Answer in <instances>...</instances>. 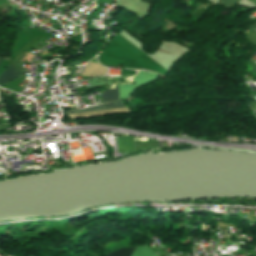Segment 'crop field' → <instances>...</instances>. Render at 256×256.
Listing matches in <instances>:
<instances>
[{
	"instance_id": "crop-field-3",
	"label": "crop field",
	"mask_w": 256,
	"mask_h": 256,
	"mask_svg": "<svg viewBox=\"0 0 256 256\" xmlns=\"http://www.w3.org/2000/svg\"><path fill=\"white\" fill-rule=\"evenodd\" d=\"M122 107H124V106L122 105V103L120 101H118V102H114V103L102 104L99 106L85 108V109H81V110L70 111L69 114L106 110V109H114V108H122Z\"/></svg>"
},
{
	"instance_id": "crop-field-1",
	"label": "crop field",
	"mask_w": 256,
	"mask_h": 256,
	"mask_svg": "<svg viewBox=\"0 0 256 256\" xmlns=\"http://www.w3.org/2000/svg\"><path fill=\"white\" fill-rule=\"evenodd\" d=\"M133 248L123 247L119 250H116L107 256H131ZM132 256H157L155 252H153L150 248H148L146 245L138 246L135 248Z\"/></svg>"
},
{
	"instance_id": "crop-field-8",
	"label": "crop field",
	"mask_w": 256,
	"mask_h": 256,
	"mask_svg": "<svg viewBox=\"0 0 256 256\" xmlns=\"http://www.w3.org/2000/svg\"><path fill=\"white\" fill-rule=\"evenodd\" d=\"M93 62H95V61H93ZM98 63V62H97Z\"/></svg>"
},
{
	"instance_id": "crop-field-4",
	"label": "crop field",
	"mask_w": 256,
	"mask_h": 256,
	"mask_svg": "<svg viewBox=\"0 0 256 256\" xmlns=\"http://www.w3.org/2000/svg\"><path fill=\"white\" fill-rule=\"evenodd\" d=\"M102 99H103V102L119 99L118 93H117V87L106 89L103 92Z\"/></svg>"
},
{
	"instance_id": "crop-field-5",
	"label": "crop field",
	"mask_w": 256,
	"mask_h": 256,
	"mask_svg": "<svg viewBox=\"0 0 256 256\" xmlns=\"http://www.w3.org/2000/svg\"><path fill=\"white\" fill-rule=\"evenodd\" d=\"M240 0H218L219 5H225L233 7L235 4H237Z\"/></svg>"
},
{
	"instance_id": "crop-field-2",
	"label": "crop field",
	"mask_w": 256,
	"mask_h": 256,
	"mask_svg": "<svg viewBox=\"0 0 256 256\" xmlns=\"http://www.w3.org/2000/svg\"><path fill=\"white\" fill-rule=\"evenodd\" d=\"M21 73L22 70L10 65L0 76V85L16 79Z\"/></svg>"
},
{
	"instance_id": "crop-field-7",
	"label": "crop field",
	"mask_w": 256,
	"mask_h": 256,
	"mask_svg": "<svg viewBox=\"0 0 256 256\" xmlns=\"http://www.w3.org/2000/svg\"><path fill=\"white\" fill-rule=\"evenodd\" d=\"M2 57L0 56V59H1Z\"/></svg>"
},
{
	"instance_id": "crop-field-6",
	"label": "crop field",
	"mask_w": 256,
	"mask_h": 256,
	"mask_svg": "<svg viewBox=\"0 0 256 256\" xmlns=\"http://www.w3.org/2000/svg\"><path fill=\"white\" fill-rule=\"evenodd\" d=\"M249 29H251V30H253V31H255V32H256V23H255V24H253L251 27H249Z\"/></svg>"
}]
</instances>
